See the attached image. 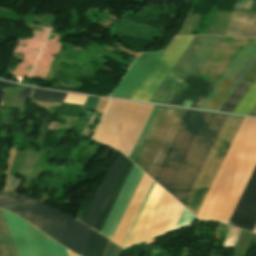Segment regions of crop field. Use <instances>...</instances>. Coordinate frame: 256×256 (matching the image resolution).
<instances>
[{
  "label": "crop field",
  "instance_id": "17",
  "mask_svg": "<svg viewBox=\"0 0 256 256\" xmlns=\"http://www.w3.org/2000/svg\"><path fill=\"white\" fill-rule=\"evenodd\" d=\"M251 1L237 0L234 8L248 11L232 10L225 35L256 37V13L249 11Z\"/></svg>",
  "mask_w": 256,
  "mask_h": 256
},
{
  "label": "crop field",
  "instance_id": "3",
  "mask_svg": "<svg viewBox=\"0 0 256 256\" xmlns=\"http://www.w3.org/2000/svg\"><path fill=\"white\" fill-rule=\"evenodd\" d=\"M0 208L18 214L58 243L81 254L90 230L83 223L26 196L0 193Z\"/></svg>",
  "mask_w": 256,
  "mask_h": 256
},
{
  "label": "crop field",
  "instance_id": "7",
  "mask_svg": "<svg viewBox=\"0 0 256 256\" xmlns=\"http://www.w3.org/2000/svg\"><path fill=\"white\" fill-rule=\"evenodd\" d=\"M244 118L229 115L184 206L197 215L198 210Z\"/></svg>",
  "mask_w": 256,
  "mask_h": 256
},
{
  "label": "crop field",
  "instance_id": "5",
  "mask_svg": "<svg viewBox=\"0 0 256 256\" xmlns=\"http://www.w3.org/2000/svg\"><path fill=\"white\" fill-rule=\"evenodd\" d=\"M208 113L187 110L153 179L170 192Z\"/></svg>",
  "mask_w": 256,
  "mask_h": 256
},
{
  "label": "crop field",
  "instance_id": "19",
  "mask_svg": "<svg viewBox=\"0 0 256 256\" xmlns=\"http://www.w3.org/2000/svg\"><path fill=\"white\" fill-rule=\"evenodd\" d=\"M28 225L39 256H68L65 248L48 238L46 235Z\"/></svg>",
  "mask_w": 256,
  "mask_h": 256
},
{
  "label": "crop field",
  "instance_id": "20",
  "mask_svg": "<svg viewBox=\"0 0 256 256\" xmlns=\"http://www.w3.org/2000/svg\"><path fill=\"white\" fill-rule=\"evenodd\" d=\"M132 165H133V163L129 159H127V161H126L94 227H93V229H95L97 232H100Z\"/></svg>",
  "mask_w": 256,
  "mask_h": 256
},
{
  "label": "crop field",
  "instance_id": "1",
  "mask_svg": "<svg viewBox=\"0 0 256 256\" xmlns=\"http://www.w3.org/2000/svg\"><path fill=\"white\" fill-rule=\"evenodd\" d=\"M225 37L195 36L173 69L197 76ZM247 40L229 38L223 41L198 77L217 83ZM215 83L188 76L168 104L199 108Z\"/></svg>",
  "mask_w": 256,
  "mask_h": 256
},
{
  "label": "crop field",
  "instance_id": "13",
  "mask_svg": "<svg viewBox=\"0 0 256 256\" xmlns=\"http://www.w3.org/2000/svg\"><path fill=\"white\" fill-rule=\"evenodd\" d=\"M228 223L253 231L256 225V167Z\"/></svg>",
  "mask_w": 256,
  "mask_h": 256
},
{
  "label": "crop field",
  "instance_id": "25",
  "mask_svg": "<svg viewBox=\"0 0 256 256\" xmlns=\"http://www.w3.org/2000/svg\"><path fill=\"white\" fill-rule=\"evenodd\" d=\"M158 108H159V106H157V105L154 106V108H153V110H152V112H151V114H150V116H149V118H148V120H147V122H146V124H145V126H144V128H143V130H142L134 148H133V150H132V153L129 157L131 160H133V158H134V156H135V154H136V152H137V150H138V148H139V146H140V144H141V142H142V140H143V138H144V136H145V134H146V132H147V130H148V128H149V126H150V124H151V122H152V120H153V118H154V116L157 112V110H158Z\"/></svg>",
  "mask_w": 256,
  "mask_h": 256
},
{
  "label": "crop field",
  "instance_id": "16",
  "mask_svg": "<svg viewBox=\"0 0 256 256\" xmlns=\"http://www.w3.org/2000/svg\"><path fill=\"white\" fill-rule=\"evenodd\" d=\"M126 157L121 153L119 158L116 160L108 174L105 176L101 182L82 222L93 227L125 161Z\"/></svg>",
  "mask_w": 256,
  "mask_h": 256
},
{
  "label": "crop field",
  "instance_id": "29",
  "mask_svg": "<svg viewBox=\"0 0 256 256\" xmlns=\"http://www.w3.org/2000/svg\"><path fill=\"white\" fill-rule=\"evenodd\" d=\"M21 182L22 179H18L9 175L7 191L16 192Z\"/></svg>",
  "mask_w": 256,
  "mask_h": 256
},
{
  "label": "crop field",
  "instance_id": "10",
  "mask_svg": "<svg viewBox=\"0 0 256 256\" xmlns=\"http://www.w3.org/2000/svg\"><path fill=\"white\" fill-rule=\"evenodd\" d=\"M193 38L175 37L131 99L148 101Z\"/></svg>",
  "mask_w": 256,
  "mask_h": 256
},
{
  "label": "crop field",
  "instance_id": "33",
  "mask_svg": "<svg viewBox=\"0 0 256 256\" xmlns=\"http://www.w3.org/2000/svg\"><path fill=\"white\" fill-rule=\"evenodd\" d=\"M4 90H5V88H0V109H1V105H2Z\"/></svg>",
  "mask_w": 256,
  "mask_h": 256
},
{
  "label": "crop field",
  "instance_id": "27",
  "mask_svg": "<svg viewBox=\"0 0 256 256\" xmlns=\"http://www.w3.org/2000/svg\"><path fill=\"white\" fill-rule=\"evenodd\" d=\"M122 248L108 241L103 256H120Z\"/></svg>",
  "mask_w": 256,
  "mask_h": 256
},
{
  "label": "crop field",
  "instance_id": "21",
  "mask_svg": "<svg viewBox=\"0 0 256 256\" xmlns=\"http://www.w3.org/2000/svg\"><path fill=\"white\" fill-rule=\"evenodd\" d=\"M251 86V83L240 81V83L237 85V87L234 89V91L231 93L219 111L232 113V111L235 109V107L238 105V103L241 101ZM250 115L256 116V107L253 109Z\"/></svg>",
  "mask_w": 256,
  "mask_h": 256
},
{
  "label": "crop field",
  "instance_id": "28",
  "mask_svg": "<svg viewBox=\"0 0 256 256\" xmlns=\"http://www.w3.org/2000/svg\"><path fill=\"white\" fill-rule=\"evenodd\" d=\"M87 96L67 94L64 102L83 105Z\"/></svg>",
  "mask_w": 256,
  "mask_h": 256
},
{
  "label": "crop field",
  "instance_id": "9",
  "mask_svg": "<svg viewBox=\"0 0 256 256\" xmlns=\"http://www.w3.org/2000/svg\"><path fill=\"white\" fill-rule=\"evenodd\" d=\"M255 60L256 48L245 45L200 108L218 111Z\"/></svg>",
  "mask_w": 256,
  "mask_h": 256
},
{
  "label": "crop field",
  "instance_id": "32",
  "mask_svg": "<svg viewBox=\"0 0 256 256\" xmlns=\"http://www.w3.org/2000/svg\"><path fill=\"white\" fill-rule=\"evenodd\" d=\"M10 86H17V85L8 83V82H4V81H0V87H10Z\"/></svg>",
  "mask_w": 256,
  "mask_h": 256
},
{
  "label": "crop field",
  "instance_id": "34",
  "mask_svg": "<svg viewBox=\"0 0 256 256\" xmlns=\"http://www.w3.org/2000/svg\"><path fill=\"white\" fill-rule=\"evenodd\" d=\"M67 252H68V255H69V256H77V255H75V254L71 253V252H70V251H68V250H67Z\"/></svg>",
  "mask_w": 256,
  "mask_h": 256
},
{
  "label": "crop field",
  "instance_id": "24",
  "mask_svg": "<svg viewBox=\"0 0 256 256\" xmlns=\"http://www.w3.org/2000/svg\"><path fill=\"white\" fill-rule=\"evenodd\" d=\"M65 96H66L65 93H59V92H53V91H47V90L41 91V90L34 89L30 97V100L61 104Z\"/></svg>",
  "mask_w": 256,
  "mask_h": 256
},
{
  "label": "crop field",
  "instance_id": "22",
  "mask_svg": "<svg viewBox=\"0 0 256 256\" xmlns=\"http://www.w3.org/2000/svg\"><path fill=\"white\" fill-rule=\"evenodd\" d=\"M108 239L90 230L81 256H102Z\"/></svg>",
  "mask_w": 256,
  "mask_h": 256
},
{
  "label": "crop field",
  "instance_id": "30",
  "mask_svg": "<svg viewBox=\"0 0 256 256\" xmlns=\"http://www.w3.org/2000/svg\"><path fill=\"white\" fill-rule=\"evenodd\" d=\"M98 99L99 98L88 96L86 99V102L84 104V107L94 109L97 104Z\"/></svg>",
  "mask_w": 256,
  "mask_h": 256
},
{
  "label": "crop field",
  "instance_id": "18",
  "mask_svg": "<svg viewBox=\"0 0 256 256\" xmlns=\"http://www.w3.org/2000/svg\"><path fill=\"white\" fill-rule=\"evenodd\" d=\"M3 213L19 256H38L25 221L16 214L6 211Z\"/></svg>",
  "mask_w": 256,
  "mask_h": 256
},
{
  "label": "crop field",
  "instance_id": "6",
  "mask_svg": "<svg viewBox=\"0 0 256 256\" xmlns=\"http://www.w3.org/2000/svg\"><path fill=\"white\" fill-rule=\"evenodd\" d=\"M228 115L209 113L170 192L184 204Z\"/></svg>",
  "mask_w": 256,
  "mask_h": 256
},
{
  "label": "crop field",
  "instance_id": "12",
  "mask_svg": "<svg viewBox=\"0 0 256 256\" xmlns=\"http://www.w3.org/2000/svg\"><path fill=\"white\" fill-rule=\"evenodd\" d=\"M163 52L141 54L110 96L130 99Z\"/></svg>",
  "mask_w": 256,
  "mask_h": 256
},
{
  "label": "crop field",
  "instance_id": "26",
  "mask_svg": "<svg viewBox=\"0 0 256 256\" xmlns=\"http://www.w3.org/2000/svg\"><path fill=\"white\" fill-rule=\"evenodd\" d=\"M163 108L164 107H162V106L160 107V109H159V111H158V113H157V115H156V117H155V119H154V121H153V123H152V125H151V127H150V129H149V131H148V133H147V135H146V137H145V139H144V141H143V143H142V145H141V147H140V149H139V151H138V153H137L133 162L137 163V161H138V159H139V157H140V155H141V153H142V151H143V149H144V147H145V145H146V143H147V141L150 137V134H151V132H152V130H153V128H154V126H155V124H156V122H157V120H158V118H159V116L162 112V110H163Z\"/></svg>",
  "mask_w": 256,
  "mask_h": 256
},
{
  "label": "crop field",
  "instance_id": "8",
  "mask_svg": "<svg viewBox=\"0 0 256 256\" xmlns=\"http://www.w3.org/2000/svg\"><path fill=\"white\" fill-rule=\"evenodd\" d=\"M186 110L165 107L137 163L153 177Z\"/></svg>",
  "mask_w": 256,
  "mask_h": 256
},
{
  "label": "crop field",
  "instance_id": "4",
  "mask_svg": "<svg viewBox=\"0 0 256 256\" xmlns=\"http://www.w3.org/2000/svg\"><path fill=\"white\" fill-rule=\"evenodd\" d=\"M153 106L112 99L93 139L129 156Z\"/></svg>",
  "mask_w": 256,
  "mask_h": 256
},
{
  "label": "crop field",
  "instance_id": "15",
  "mask_svg": "<svg viewBox=\"0 0 256 256\" xmlns=\"http://www.w3.org/2000/svg\"><path fill=\"white\" fill-rule=\"evenodd\" d=\"M152 182V179H150L147 175L143 174L128 204V207L111 239V241L118 244L119 246H122Z\"/></svg>",
  "mask_w": 256,
  "mask_h": 256
},
{
  "label": "crop field",
  "instance_id": "23",
  "mask_svg": "<svg viewBox=\"0 0 256 256\" xmlns=\"http://www.w3.org/2000/svg\"><path fill=\"white\" fill-rule=\"evenodd\" d=\"M0 246L4 256H18L1 210H0Z\"/></svg>",
  "mask_w": 256,
  "mask_h": 256
},
{
  "label": "crop field",
  "instance_id": "2",
  "mask_svg": "<svg viewBox=\"0 0 256 256\" xmlns=\"http://www.w3.org/2000/svg\"><path fill=\"white\" fill-rule=\"evenodd\" d=\"M255 165L256 119L245 118L197 217L227 223Z\"/></svg>",
  "mask_w": 256,
  "mask_h": 256
},
{
  "label": "crop field",
  "instance_id": "31",
  "mask_svg": "<svg viewBox=\"0 0 256 256\" xmlns=\"http://www.w3.org/2000/svg\"><path fill=\"white\" fill-rule=\"evenodd\" d=\"M32 90L33 89H31V88L24 87L19 99L28 100L31 95Z\"/></svg>",
  "mask_w": 256,
  "mask_h": 256
},
{
  "label": "crop field",
  "instance_id": "11",
  "mask_svg": "<svg viewBox=\"0 0 256 256\" xmlns=\"http://www.w3.org/2000/svg\"><path fill=\"white\" fill-rule=\"evenodd\" d=\"M183 206L164 192L140 241L150 239L173 230Z\"/></svg>",
  "mask_w": 256,
  "mask_h": 256
},
{
  "label": "crop field",
  "instance_id": "14",
  "mask_svg": "<svg viewBox=\"0 0 256 256\" xmlns=\"http://www.w3.org/2000/svg\"><path fill=\"white\" fill-rule=\"evenodd\" d=\"M142 174L143 172L135 165H133L117 197V200L100 232V234L107 237L108 239H111Z\"/></svg>",
  "mask_w": 256,
  "mask_h": 256
}]
</instances>
